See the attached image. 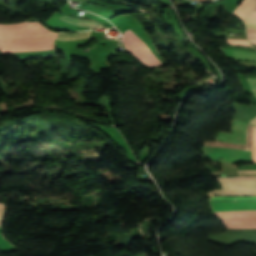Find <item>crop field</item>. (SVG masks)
Wrapping results in <instances>:
<instances>
[{
    "label": "crop field",
    "instance_id": "crop-field-1",
    "mask_svg": "<svg viewBox=\"0 0 256 256\" xmlns=\"http://www.w3.org/2000/svg\"><path fill=\"white\" fill-rule=\"evenodd\" d=\"M213 213L256 212V197H210ZM226 229H256V213L214 214Z\"/></svg>",
    "mask_w": 256,
    "mask_h": 256
},
{
    "label": "crop field",
    "instance_id": "crop-field-2",
    "mask_svg": "<svg viewBox=\"0 0 256 256\" xmlns=\"http://www.w3.org/2000/svg\"><path fill=\"white\" fill-rule=\"evenodd\" d=\"M223 189L214 190L206 195H256V176H235L231 178H216Z\"/></svg>",
    "mask_w": 256,
    "mask_h": 256
},
{
    "label": "crop field",
    "instance_id": "crop-field-3",
    "mask_svg": "<svg viewBox=\"0 0 256 256\" xmlns=\"http://www.w3.org/2000/svg\"><path fill=\"white\" fill-rule=\"evenodd\" d=\"M123 35L134 43L124 48L129 50L144 66L150 69L162 65V63L153 55L146 44L135 33L128 29L125 33H123Z\"/></svg>",
    "mask_w": 256,
    "mask_h": 256
},
{
    "label": "crop field",
    "instance_id": "crop-field-4",
    "mask_svg": "<svg viewBox=\"0 0 256 256\" xmlns=\"http://www.w3.org/2000/svg\"><path fill=\"white\" fill-rule=\"evenodd\" d=\"M38 22H24L13 25L0 24V37L43 35L50 33Z\"/></svg>",
    "mask_w": 256,
    "mask_h": 256
},
{
    "label": "crop field",
    "instance_id": "crop-field-5",
    "mask_svg": "<svg viewBox=\"0 0 256 256\" xmlns=\"http://www.w3.org/2000/svg\"><path fill=\"white\" fill-rule=\"evenodd\" d=\"M256 0H243L233 14L241 18L246 27L256 28V11H253ZM247 28L249 41L256 43V29Z\"/></svg>",
    "mask_w": 256,
    "mask_h": 256
},
{
    "label": "crop field",
    "instance_id": "crop-field-6",
    "mask_svg": "<svg viewBox=\"0 0 256 256\" xmlns=\"http://www.w3.org/2000/svg\"><path fill=\"white\" fill-rule=\"evenodd\" d=\"M202 151L213 160H219L218 157H224L223 161L251 162V152L248 151L211 147H203Z\"/></svg>",
    "mask_w": 256,
    "mask_h": 256
},
{
    "label": "crop field",
    "instance_id": "crop-field-7",
    "mask_svg": "<svg viewBox=\"0 0 256 256\" xmlns=\"http://www.w3.org/2000/svg\"><path fill=\"white\" fill-rule=\"evenodd\" d=\"M208 240L226 245L239 241H249L256 244V230H227L224 233L209 234Z\"/></svg>",
    "mask_w": 256,
    "mask_h": 256
},
{
    "label": "crop field",
    "instance_id": "crop-field-8",
    "mask_svg": "<svg viewBox=\"0 0 256 256\" xmlns=\"http://www.w3.org/2000/svg\"><path fill=\"white\" fill-rule=\"evenodd\" d=\"M231 130L234 134L220 132L218 137H214V139L245 144L246 124L233 119Z\"/></svg>",
    "mask_w": 256,
    "mask_h": 256
},
{
    "label": "crop field",
    "instance_id": "crop-field-9",
    "mask_svg": "<svg viewBox=\"0 0 256 256\" xmlns=\"http://www.w3.org/2000/svg\"><path fill=\"white\" fill-rule=\"evenodd\" d=\"M205 146H214V147H227L241 150L251 151L252 147V126L247 124V137H246V145L240 144H231V143H221V142H205Z\"/></svg>",
    "mask_w": 256,
    "mask_h": 256
},
{
    "label": "crop field",
    "instance_id": "crop-field-10",
    "mask_svg": "<svg viewBox=\"0 0 256 256\" xmlns=\"http://www.w3.org/2000/svg\"><path fill=\"white\" fill-rule=\"evenodd\" d=\"M227 57L241 60H256V52L219 47Z\"/></svg>",
    "mask_w": 256,
    "mask_h": 256
},
{
    "label": "crop field",
    "instance_id": "crop-field-11",
    "mask_svg": "<svg viewBox=\"0 0 256 256\" xmlns=\"http://www.w3.org/2000/svg\"><path fill=\"white\" fill-rule=\"evenodd\" d=\"M54 37H55V34H49L44 37H22V38L0 39V45L22 43V42L48 41V40H53Z\"/></svg>",
    "mask_w": 256,
    "mask_h": 256
},
{
    "label": "crop field",
    "instance_id": "crop-field-12",
    "mask_svg": "<svg viewBox=\"0 0 256 256\" xmlns=\"http://www.w3.org/2000/svg\"><path fill=\"white\" fill-rule=\"evenodd\" d=\"M60 19L69 22L71 24H75V25H80V26H84L90 29L93 28H102L101 24L94 22V21H84V20H77V19H72L66 16H62Z\"/></svg>",
    "mask_w": 256,
    "mask_h": 256
},
{
    "label": "crop field",
    "instance_id": "crop-field-13",
    "mask_svg": "<svg viewBox=\"0 0 256 256\" xmlns=\"http://www.w3.org/2000/svg\"><path fill=\"white\" fill-rule=\"evenodd\" d=\"M93 31H84L74 34H58L57 39H90Z\"/></svg>",
    "mask_w": 256,
    "mask_h": 256
},
{
    "label": "crop field",
    "instance_id": "crop-field-14",
    "mask_svg": "<svg viewBox=\"0 0 256 256\" xmlns=\"http://www.w3.org/2000/svg\"><path fill=\"white\" fill-rule=\"evenodd\" d=\"M227 42L230 44H234V45H243V46H249L251 47V45L249 44L248 40H242V39H227Z\"/></svg>",
    "mask_w": 256,
    "mask_h": 256
},
{
    "label": "crop field",
    "instance_id": "crop-field-15",
    "mask_svg": "<svg viewBox=\"0 0 256 256\" xmlns=\"http://www.w3.org/2000/svg\"><path fill=\"white\" fill-rule=\"evenodd\" d=\"M247 81L250 85V89L252 90L254 97H256V78H247Z\"/></svg>",
    "mask_w": 256,
    "mask_h": 256
},
{
    "label": "crop field",
    "instance_id": "crop-field-16",
    "mask_svg": "<svg viewBox=\"0 0 256 256\" xmlns=\"http://www.w3.org/2000/svg\"><path fill=\"white\" fill-rule=\"evenodd\" d=\"M254 141L252 147V161H256V128L253 127Z\"/></svg>",
    "mask_w": 256,
    "mask_h": 256
},
{
    "label": "crop field",
    "instance_id": "crop-field-17",
    "mask_svg": "<svg viewBox=\"0 0 256 256\" xmlns=\"http://www.w3.org/2000/svg\"><path fill=\"white\" fill-rule=\"evenodd\" d=\"M4 211H5V207H0V222L2 221Z\"/></svg>",
    "mask_w": 256,
    "mask_h": 256
},
{
    "label": "crop field",
    "instance_id": "crop-field-18",
    "mask_svg": "<svg viewBox=\"0 0 256 256\" xmlns=\"http://www.w3.org/2000/svg\"><path fill=\"white\" fill-rule=\"evenodd\" d=\"M239 173H256L255 170H238Z\"/></svg>",
    "mask_w": 256,
    "mask_h": 256
},
{
    "label": "crop field",
    "instance_id": "crop-field-19",
    "mask_svg": "<svg viewBox=\"0 0 256 256\" xmlns=\"http://www.w3.org/2000/svg\"><path fill=\"white\" fill-rule=\"evenodd\" d=\"M249 122H250V124H254L256 126V117Z\"/></svg>",
    "mask_w": 256,
    "mask_h": 256
},
{
    "label": "crop field",
    "instance_id": "crop-field-20",
    "mask_svg": "<svg viewBox=\"0 0 256 256\" xmlns=\"http://www.w3.org/2000/svg\"><path fill=\"white\" fill-rule=\"evenodd\" d=\"M198 1H210V0H198Z\"/></svg>",
    "mask_w": 256,
    "mask_h": 256
},
{
    "label": "crop field",
    "instance_id": "crop-field-21",
    "mask_svg": "<svg viewBox=\"0 0 256 256\" xmlns=\"http://www.w3.org/2000/svg\"><path fill=\"white\" fill-rule=\"evenodd\" d=\"M254 47H256V45H253Z\"/></svg>",
    "mask_w": 256,
    "mask_h": 256
}]
</instances>
